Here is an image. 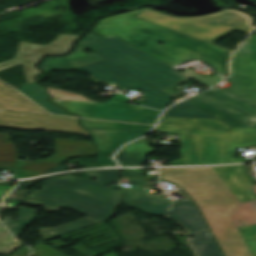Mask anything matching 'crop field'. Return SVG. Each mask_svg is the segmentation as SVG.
<instances>
[{
    "label": "crop field",
    "instance_id": "2",
    "mask_svg": "<svg viewBox=\"0 0 256 256\" xmlns=\"http://www.w3.org/2000/svg\"><path fill=\"white\" fill-rule=\"evenodd\" d=\"M97 182L73 176L52 179L43 190L29 194L25 204L42 205L46 212L68 208L88 217L51 229L41 228L44 241L110 219L118 207L119 190L106 187L119 181V170L85 173ZM36 200H33V199Z\"/></svg>",
    "mask_w": 256,
    "mask_h": 256
},
{
    "label": "crop field",
    "instance_id": "12",
    "mask_svg": "<svg viewBox=\"0 0 256 256\" xmlns=\"http://www.w3.org/2000/svg\"><path fill=\"white\" fill-rule=\"evenodd\" d=\"M80 68L103 82L112 80L128 89H131L134 86L137 87L150 97L141 105L164 110L168 105L171 104L172 96L170 94L132 75L127 70L107 60Z\"/></svg>",
    "mask_w": 256,
    "mask_h": 256
},
{
    "label": "crop field",
    "instance_id": "35",
    "mask_svg": "<svg viewBox=\"0 0 256 256\" xmlns=\"http://www.w3.org/2000/svg\"><path fill=\"white\" fill-rule=\"evenodd\" d=\"M7 90H11V88L0 82V93Z\"/></svg>",
    "mask_w": 256,
    "mask_h": 256
},
{
    "label": "crop field",
    "instance_id": "24",
    "mask_svg": "<svg viewBox=\"0 0 256 256\" xmlns=\"http://www.w3.org/2000/svg\"><path fill=\"white\" fill-rule=\"evenodd\" d=\"M37 217L36 211L25 207H20L17 222H3L11 233L19 237L23 229L33 223Z\"/></svg>",
    "mask_w": 256,
    "mask_h": 256
},
{
    "label": "crop field",
    "instance_id": "19",
    "mask_svg": "<svg viewBox=\"0 0 256 256\" xmlns=\"http://www.w3.org/2000/svg\"><path fill=\"white\" fill-rule=\"evenodd\" d=\"M153 149L147 145L146 139H141L122 148L116 159L121 166H143L147 154H152Z\"/></svg>",
    "mask_w": 256,
    "mask_h": 256
},
{
    "label": "crop field",
    "instance_id": "6",
    "mask_svg": "<svg viewBox=\"0 0 256 256\" xmlns=\"http://www.w3.org/2000/svg\"><path fill=\"white\" fill-rule=\"evenodd\" d=\"M186 101L231 127L256 125V89H211Z\"/></svg>",
    "mask_w": 256,
    "mask_h": 256
},
{
    "label": "crop field",
    "instance_id": "27",
    "mask_svg": "<svg viewBox=\"0 0 256 256\" xmlns=\"http://www.w3.org/2000/svg\"><path fill=\"white\" fill-rule=\"evenodd\" d=\"M48 177L40 178V179H35L31 181H22L18 184V186L3 200V201H20L24 202V199L26 195L30 191H26L34 182L42 179H46Z\"/></svg>",
    "mask_w": 256,
    "mask_h": 256
},
{
    "label": "crop field",
    "instance_id": "17",
    "mask_svg": "<svg viewBox=\"0 0 256 256\" xmlns=\"http://www.w3.org/2000/svg\"><path fill=\"white\" fill-rule=\"evenodd\" d=\"M231 66L233 88H256V54L235 53Z\"/></svg>",
    "mask_w": 256,
    "mask_h": 256
},
{
    "label": "crop field",
    "instance_id": "4",
    "mask_svg": "<svg viewBox=\"0 0 256 256\" xmlns=\"http://www.w3.org/2000/svg\"><path fill=\"white\" fill-rule=\"evenodd\" d=\"M80 44L162 90L191 80L117 37L87 35Z\"/></svg>",
    "mask_w": 256,
    "mask_h": 256
},
{
    "label": "crop field",
    "instance_id": "18",
    "mask_svg": "<svg viewBox=\"0 0 256 256\" xmlns=\"http://www.w3.org/2000/svg\"><path fill=\"white\" fill-rule=\"evenodd\" d=\"M85 49L87 48L78 44L75 50L69 55L59 58H47L45 59L44 63L40 65L41 69L44 71H67L73 70L83 65L105 60L104 58H102L94 52L88 54L83 53L82 51Z\"/></svg>",
    "mask_w": 256,
    "mask_h": 256
},
{
    "label": "crop field",
    "instance_id": "9",
    "mask_svg": "<svg viewBox=\"0 0 256 256\" xmlns=\"http://www.w3.org/2000/svg\"><path fill=\"white\" fill-rule=\"evenodd\" d=\"M213 168L241 202L231 216L251 254L256 256V186L243 165Z\"/></svg>",
    "mask_w": 256,
    "mask_h": 256
},
{
    "label": "crop field",
    "instance_id": "1",
    "mask_svg": "<svg viewBox=\"0 0 256 256\" xmlns=\"http://www.w3.org/2000/svg\"><path fill=\"white\" fill-rule=\"evenodd\" d=\"M142 10L102 19L94 31L117 36L170 67L197 58L228 76L231 51L133 17Z\"/></svg>",
    "mask_w": 256,
    "mask_h": 256
},
{
    "label": "crop field",
    "instance_id": "30",
    "mask_svg": "<svg viewBox=\"0 0 256 256\" xmlns=\"http://www.w3.org/2000/svg\"><path fill=\"white\" fill-rule=\"evenodd\" d=\"M236 52L256 53V35H250V37L237 48Z\"/></svg>",
    "mask_w": 256,
    "mask_h": 256
},
{
    "label": "crop field",
    "instance_id": "3",
    "mask_svg": "<svg viewBox=\"0 0 256 256\" xmlns=\"http://www.w3.org/2000/svg\"><path fill=\"white\" fill-rule=\"evenodd\" d=\"M161 179L177 183L196 200L227 256H252L237 230L222 225L240 202L212 167L161 168Z\"/></svg>",
    "mask_w": 256,
    "mask_h": 256
},
{
    "label": "crop field",
    "instance_id": "10",
    "mask_svg": "<svg viewBox=\"0 0 256 256\" xmlns=\"http://www.w3.org/2000/svg\"><path fill=\"white\" fill-rule=\"evenodd\" d=\"M190 132L200 164L244 162L243 159H233L234 149L256 144V128Z\"/></svg>",
    "mask_w": 256,
    "mask_h": 256
},
{
    "label": "crop field",
    "instance_id": "11",
    "mask_svg": "<svg viewBox=\"0 0 256 256\" xmlns=\"http://www.w3.org/2000/svg\"><path fill=\"white\" fill-rule=\"evenodd\" d=\"M84 125L94 136L100 151V159L95 161L87 168L101 166H117L111 159L114 152L124 143L137 139L149 132L153 126L124 124L113 122H102L82 119ZM100 129H126V130H145V131H125V130H99Z\"/></svg>",
    "mask_w": 256,
    "mask_h": 256
},
{
    "label": "crop field",
    "instance_id": "23",
    "mask_svg": "<svg viewBox=\"0 0 256 256\" xmlns=\"http://www.w3.org/2000/svg\"><path fill=\"white\" fill-rule=\"evenodd\" d=\"M164 115L185 118H215L185 101L169 108Z\"/></svg>",
    "mask_w": 256,
    "mask_h": 256
},
{
    "label": "crop field",
    "instance_id": "34",
    "mask_svg": "<svg viewBox=\"0 0 256 256\" xmlns=\"http://www.w3.org/2000/svg\"><path fill=\"white\" fill-rule=\"evenodd\" d=\"M65 170H68V169L66 167L60 165V166H58V167H56V168H54V169H52V170H50L46 173H43L41 175H45V174H49V173H53V172H58V171H65Z\"/></svg>",
    "mask_w": 256,
    "mask_h": 256
},
{
    "label": "crop field",
    "instance_id": "7",
    "mask_svg": "<svg viewBox=\"0 0 256 256\" xmlns=\"http://www.w3.org/2000/svg\"><path fill=\"white\" fill-rule=\"evenodd\" d=\"M54 96L50 101L81 117L136 122L155 123L160 111L111 100L102 104L92 102L82 96L48 87Z\"/></svg>",
    "mask_w": 256,
    "mask_h": 256
},
{
    "label": "crop field",
    "instance_id": "28",
    "mask_svg": "<svg viewBox=\"0 0 256 256\" xmlns=\"http://www.w3.org/2000/svg\"><path fill=\"white\" fill-rule=\"evenodd\" d=\"M182 73L208 88L219 83L221 80H223L221 77L217 75L204 79L190 70L184 71Z\"/></svg>",
    "mask_w": 256,
    "mask_h": 256
},
{
    "label": "crop field",
    "instance_id": "38",
    "mask_svg": "<svg viewBox=\"0 0 256 256\" xmlns=\"http://www.w3.org/2000/svg\"><path fill=\"white\" fill-rule=\"evenodd\" d=\"M256 127V126H255Z\"/></svg>",
    "mask_w": 256,
    "mask_h": 256
},
{
    "label": "crop field",
    "instance_id": "29",
    "mask_svg": "<svg viewBox=\"0 0 256 256\" xmlns=\"http://www.w3.org/2000/svg\"><path fill=\"white\" fill-rule=\"evenodd\" d=\"M31 256H67L38 241Z\"/></svg>",
    "mask_w": 256,
    "mask_h": 256
},
{
    "label": "crop field",
    "instance_id": "5",
    "mask_svg": "<svg viewBox=\"0 0 256 256\" xmlns=\"http://www.w3.org/2000/svg\"><path fill=\"white\" fill-rule=\"evenodd\" d=\"M136 17L211 44L233 30L248 33L252 27L251 18L237 10H224L198 18H176L154 10L145 9Z\"/></svg>",
    "mask_w": 256,
    "mask_h": 256
},
{
    "label": "crop field",
    "instance_id": "37",
    "mask_svg": "<svg viewBox=\"0 0 256 256\" xmlns=\"http://www.w3.org/2000/svg\"><path fill=\"white\" fill-rule=\"evenodd\" d=\"M143 123H145V122H143ZM146 124H151V123H146Z\"/></svg>",
    "mask_w": 256,
    "mask_h": 256
},
{
    "label": "crop field",
    "instance_id": "15",
    "mask_svg": "<svg viewBox=\"0 0 256 256\" xmlns=\"http://www.w3.org/2000/svg\"><path fill=\"white\" fill-rule=\"evenodd\" d=\"M30 115H33V117ZM39 122H43V124H38ZM77 123L78 119L73 118L6 110L0 112V127L23 130L40 129L89 135Z\"/></svg>",
    "mask_w": 256,
    "mask_h": 256
},
{
    "label": "crop field",
    "instance_id": "16",
    "mask_svg": "<svg viewBox=\"0 0 256 256\" xmlns=\"http://www.w3.org/2000/svg\"><path fill=\"white\" fill-rule=\"evenodd\" d=\"M78 35L58 34L56 39L48 45H35L19 42V49L14 59L0 63V71L18 65H24L27 82L33 83V76L40 73L33 64L43 54H63L66 52L73 39Z\"/></svg>",
    "mask_w": 256,
    "mask_h": 256
},
{
    "label": "crop field",
    "instance_id": "26",
    "mask_svg": "<svg viewBox=\"0 0 256 256\" xmlns=\"http://www.w3.org/2000/svg\"><path fill=\"white\" fill-rule=\"evenodd\" d=\"M20 244L22 243L8 233L0 223V253L8 254Z\"/></svg>",
    "mask_w": 256,
    "mask_h": 256
},
{
    "label": "crop field",
    "instance_id": "33",
    "mask_svg": "<svg viewBox=\"0 0 256 256\" xmlns=\"http://www.w3.org/2000/svg\"><path fill=\"white\" fill-rule=\"evenodd\" d=\"M14 186L0 187V199L6 195Z\"/></svg>",
    "mask_w": 256,
    "mask_h": 256
},
{
    "label": "crop field",
    "instance_id": "22",
    "mask_svg": "<svg viewBox=\"0 0 256 256\" xmlns=\"http://www.w3.org/2000/svg\"><path fill=\"white\" fill-rule=\"evenodd\" d=\"M17 89L21 91L23 94H25L26 96H28L29 98H31L33 101L38 103L40 106L48 110L50 113L60 114V115H69L63 109L46 101V99L51 96L48 93H46L45 87L39 86L38 84L34 83V84L27 85Z\"/></svg>",
    "mask_w": 256,
    "mask_h": 256
},
{
    "label": "crop field",
    "instance_id": "14",
    "mask_svg": "<svg viewBox=\"0 0 256 256\" xmlns=\"http://www.w3.org/2000/svg\"><path fill=\"white\" fill-rule=\"evenodd\" d=\"M169 216L188 228L198 256H224L191 198L174 202Z\"/></svg>",
    "mask_w": 256,
    "mask_h": 256
},
{
    "label": "crop field",
    "instance_id": "25",
    "mask_svg": "<svg viewBox=\"0 0 256 256\" xmlns=\"http://www.w3.org/2000/svg\"><path fill=\"white\" fill-rule=\"evenodd\" d=\"M128 184L133 185L122 191L121 204L138 208L143 182L130 179Z\"/></svg>",
    "mask_w": 256,
    "mask_h": 256
},
{
    "label": "crop field",
    "instance_id": "31",
    "mask_svg": "<svg viewBox=\"0 0 256 256\" xmlns=\"http://www.w3.org/2000/svg\"><path fill=\"white\" fill-rule=\"evenodd\" d=\"M30 250L27 246H22L19 250H17L15 253L11 254L14 256H28Z\"/></svg>",
    "mask_w": 256,
    "mask_h": 256
},
{
    "label": "crop field",
    "instance_id": "13",
    "mask_svg": "<svg viewBox=\"0 0 256 256\" xmlns=\"http://www.w3.org/2000/svg\"><path fill=\"white\" fill-rule=\"evenodd\" d=\"M230 126L218 119H185L162 116L160 125L153 131L179 133L182 159L172 165H199L189 130L229 131Z\"/></svg>",
    "mask_w": 256,
    "mask_h": 256
},
{
    "label": "crop field",
    "instance_id": "20",
    "mask_svg": "<svg viewBox=\"0 0 256 256\" xmlns=\"http://www.w3.org/2000/svg\"><path fill=\"white\" fill-rule=\"evenodd\" d=\"M5 109L47 114L14 90L0 94V111Z\"/></svg>",
    "mask_w": 256,
    "mask_h": 256
},
{
    "label": "crop field",
    "instance_id": "36",
    "mask_svg": "<svg viewBox=\"0 0 256 256\" xmlns=\"http://www.w3.org/2000/svg\"><path fill=\"white\" fill-rule=\"evenodd\" d=\"M251 34H256V27L254 28Z\"/></svg>",
    "mask_w": 256,
    "mask_h": 256
},
{
    "label": "crop field",
    "instance_id": "32",
    "mask_svg": "<svg viewBox=\"0 0 256 256\" xmlns=\"http://www.w3.org/2000/svg\"><path fill=\"white\" fill-rule=\"evenodd\" d=\"M123 175L143 180L144 176L135 172H129L123 170Z\"/></svg>",
    "mask_w": 256,
    "mask_h": 256
},
{
    "label": "crop field",
    "instance_id": "21",
    "mask_svg": "<svg viewBox=\"0 0 256 256\" xmlns=\"http://www.w3.org/2000/svg\"><path fill=\"white\" fill-rule=\"evenodd\" d=\"M146 185L144 182L139 209L151 215H166L171 201L151 195V188Z\"/></svg>",
    "mask_w": 256,
    "mask_h": 256
},
{
    "label": "crop field",
    "instance_id": "8",
    "mask_svg": "<svg viewBox=\"0 0 256 256\" xmlns=\"http://www.w3.org/2000/svg\"><path fill=\"white\" fill-rule=\"evenodd\" d=\"M55 153L44 160H36L30 164L18 161L19 153L10 142L9 135L0 134V170L15 171L23 169L16 178H28L37 176L65 161L67 159L96 155V150L91 142L72 141L54 138Z\"/></svg>",
    "mask_w": 256,
    "mask_h": 256
}]
</instances>
